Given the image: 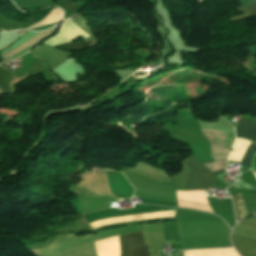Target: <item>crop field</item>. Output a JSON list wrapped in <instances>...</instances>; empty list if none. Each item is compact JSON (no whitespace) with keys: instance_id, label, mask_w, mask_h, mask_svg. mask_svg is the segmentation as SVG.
I'll return each mask as SVG.
<instances>
[{"instance_id":"crop-field-6","label":"crop field","mask_w":256,"mask_h":256,"mask_svg":"<svg viewBox=\"0 0 256 256\" xmlns=\"http://www.w3.org/2000/svg\"><path fill=\"white\" fill-rule=\"evenodd\" d=\"M14 75L0 68V88L4 93H10L11 89L9 82L13 79Z\"/></svg>"},{"instance_id":"crop-field-5","label":"crop field","mask_w":256,"mask_h":256,"mask_svg":"<svg viewBox=\"0 0 256 256\" xmlns=\"http://www.w3.org/2000/svg\"><path fill=\"white\" fill-rule=\"evenodd\" d=\"M236 209L237 221L247 216L245 204L241 193L231 195Z\"/></svg>"},{"instance_id":"crop-field-8","label":"crop field","mask_w":256,"mask_h":256,"mask_svg":"<svg viewBox=\"0 0 256 256\" xmlns=\"http://www.w3.org/2000/svg\"><path fill=\"white\" fill-rule=\"evenodd\" d=\"M255 150H256V145H254L251 142L250 146L248 147V149L246 150V152L243 156L241 164L250 166L251 157H252L253 153L255 152Z\"/></svg>"},{"instance_id":"crop-field-7","label":"crop field","mask_w":256,"mask_h":256,"mask_svg":"<svg viewBox=\"0 0 256 256\" xmlns=\"http://www.w3.org/2000/svg\"><path fill=\"white\" fill-rule=\"evenodd\" d=\"M92 41L88 42H68V43H63L55 47H59L61 49H66V50H82L85 49Z\"/></svg>"},{"instance_id":"crop-field-4","label":"crop field","mask_w":256,"mask_h":256,"mask_svg":"<svg viewBox=\"0 0 256 256\" xmlns=\"http://www.w3.org/2000/svg\"><path fill=\"white\" fill-rule=\"evenodd\" d=\"M232 242L242 256L256 255V241L232 236Z\"/></svg>"},{"instance_id":"crop-field-2","label":"crop field","mask_w":256,"mask_h":256,"mask_svg":"<svg viewBox=\"0 0 256 256\" xmlns=\"http://www.w3.org/2000/svg\"><path fill=\"white\" fill-rule=\"evenodd\" d=\"M121 256H147L143 232L121 235Z\"/></svg>"},{"instance_id":"crop-field-3","label":"crop field","mask_w":256,"mask_h":256,"mask_svg":"<svg viewBox=\"0 0 256 256\" xmlns=\"http://www.w3.org/2000/svg\"><path fill=\"white\" fill-rule=\"evenodd\" d=\"M237 137H244L256 143V122L246 119H241L236 127Z\"/></svg>"},{"instance_id":"crop-field-9","label":"crop field","mask_w":256,"mask_h":256,"mask_svg":"<svg viewBox=\"0 0 256 256\" xmlns=\"http://www.w3.org/2000/svg\"><path fill=\"white\" fill-rule=\"evenodd\" d=\"M242 9L247 13L256 14V0L248 1L247 5L242 7Z\"/></svg>"},{"instance_id":"crop-field-1","label":"crop field","mask_w":256,"mask_h":256,"mask_svg":"<svg viewBox=\"0 0 256 256\" xmlns=\"http://www.w3.org/2000/svg\"><path fill=\"white\" fill-rule=\"evenodd\" d=\"M186 165L191 169L186 190L192 189H208L212 186L218 179L213 175L207 168H205L200 162H198L194 157L187 160ZM201 172L204 175L200 174Z\"/></svg>"}]
</instances>
